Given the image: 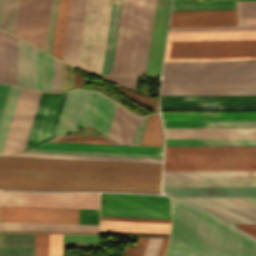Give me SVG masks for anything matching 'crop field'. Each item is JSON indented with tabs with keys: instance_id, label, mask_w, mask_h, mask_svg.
Wrapping results in <instances>:
<instances>
[{
	"instance_id": "733c2abd",
	"label": "crop field",
	"mask_w": 256,
	"mask_h": 256,
	"mask_svg": "<svg viewBox=\"0 0 256 256\" xmlns=\"http://www.w3.org/2000/svg\"><path fill=\"white\" fill-rule=\"evenodd\" d=\"M86 0H72L63 60L76 66Z\"/></svg>"
},
{
	"instance_id": "028f5c9d",
	"label": "crop field",
	"mask_w": 256,
	"mask_h": 256,
	"mask_svg": "<svg viewBox=\"0 0 256 256\" xmlns=\"http://www.w3.org/2000/svg\"><path fill=\"white\" fill-rule=\"evenodd\" d=\"M236 19L235 10L172 11L171 20Z\"/></svg>"
},
{
	"instance_id": "7312dd0a",
	"label": "crop field",
	"mask_w": 256,
	"mask_h": 256,
	"mask_svg": "<svg viewBox=\"0 0 256 256\" xmlns=\"http://www.w3.org/2000/svg\"><path fill=\"white\" fill-rule=\"evenodd\" d=\"M3 4H4V0H0V24H1V17H2V11H3Z\"/></svg>"
},
{
	"instance_id": "00972430",
	"label": "crop field",
	"mask_w": 256,
	"mask_h": 256,
	"mask_svg": "<svg viewBox=\"0 0 256 256\" xmlns=\"http://www.w3.org/2000/svg\"><path fill=\"white\" fill-rule=\"evenodd\" d=\"M34 234L0 233V256H33Z\"/></svg>"
},
{
	"instance_id": "447ae74e",
	"label": "crop field",
	"mask_w": 256,
	"mask_h": 256,
	"mask_svg": "<svg viewBox=\"0 0 256 256\" xmlns=\"http://www.w3.org/2000/svg\"><path fill=\"white\" fill-rule=\"evenodd\" d=\"M199 30H256V26L170 28L169 31H199Z\"/></svg>"
},
{
	"instance_id": "5a996713",
	"label": "crop field",
	"mask_w": 256,
	"mask_h": 256,
	"mask_svg": "<svg viewBox=\"0 0 256 256\" xmlns=\"http://www.w3.org/2000/svg\"><path fill=\"white\" fill-rule=\"evenodd\" d=\"M40 93L21 89L2 155H13L25 149Z\"/></svg>"
},
{
	"instance_id": "d8731c3e",
	"label": "crop field",
	"mask_w": 256,
	"mask_h": 256,
	"mask_svg": "<svg viewBox=\"0 0 256 256\" xmlns=\"http://www.w3.org/2000/svg\"><path fill=\"white\" fill-rule=\"evenodd\" d=\"M52 0H20L15 35L44 50Z\"/></svg>"
},
{
	"instance_id": "b54c1fbb",
	"label": "crop field",
	"mask_w": 256,
	"mask_h": 256,
	"mask_svg": "<svg viewBox=\"0 0 256 256\" xmlns=\"http://www.w3.org/2000/svg\"><path fill=\"white\" fill-rule=\"evenodd\" d=\"M165 145H256V139H165Z\"/></svg>"
},
{
	"instance_id": "0bd39190",
	"label": "crop field",
	"mask_w": 256,
	"mask_h": 256,
	"mask_svg": "<svg viewBox=\"0 0 256 256\" xmlns=\"http://www.w3.org/2000/svg\"><path fill=\"white\" fill-rule=\"evenodd\" d=\"M53 57L38 50L37 89L52 92Z\"/></svg>"
},
{
	"instance_id": "db79e9e6",
	"label": "crop field",
	"mask_w": 256,
	"mask_h": 256,
	"mask_svg": "<svg viewBox=\"0 0 256 256\" xmlns=\"http://www.w3.org/2000/svg\"><path fill=\"white\" fill-rule=\"evenodd\" d=\"M49 256H62V234H49Z\"/></svg>"
},
{
	"instance_id": "e52e79f7",
	"label": "crop field",
	"mask_w": 256,
	"mask_h": 256,
	"mask_svg": "<svg viewBox=\"0 0 256 256\" xmlns=\"http://www.w3.org/2000/svg\"><path fill=\"white\" fill-rule=\"evenodd\" d=\"M0 206L99 209V193L0 191Z\"/></svg>"
},
{
	"instance_id": "25e5ab78",
	"label": "crop field",
	"mask_w": 256,
	"mask_h": 256,
	"mask_svg": "<svg viewBox=\"0 0 256 256\" xmlns=\"http://www.w3.org/2000/svg\"><path fill=\"white\" fill-rule=\"evenodd\" d=\"M24 152L162 159V155L29 149Z\"/></svg>"
},
{
	"instance_id": "9d1cf04e",
	"label": "crop field",
	"mask_w": 256,
	"mask_h": 256,
	"mask_svg": "<svg viewBox=\"0 0 256 256\" xmlns=\"http://www.w3.org/2000/svg\"><path fill=\"white\" fill-rule=\"evenodd\" d=\"M236 25V20L171 21L170 27Z\"/></svg>"
},
{
	"instance_id": "7b73153f",
	"label": "crop field",
	"mask_w": 256,
	"mask_h": 256,
	"mask_svg": "<svg viewBox=\"0 0 256 256\" xmlns=\"http://www.w3.org/2000/svg\"><path fill=\"white\" fill-rule=\"evenodd\" d=\"M148 239L140 237L137 246L126 248L123 256H143Z\"/></svg>"
},
{
	"instance_id": "425ffa30",
	"label": "crop field",
	"mask_w": 256,
	"mask_h": 256,
	"mask_svg": "<svg viewBox=\"0 0 256 256\" xmlns=\"http://www.w3.org/2000/svg\"><path fill=\"white\" fill-rule=\"evenodd\" d=\"M0 228L98 231V225L0 223Z\"/></svg>"
},
{
	"instance_id": "1f2cbd36",
	"label": "crop field",
	"mask_w": 256,
	"mask_h": 256,
	"mask_svg": "<svg viewBox=\"0 0 256 256\" xmlns=\"http://www.w3.org/2000/svg\"><path fill=\"white\" fill-rule=\"evenodd\" d=\"M18 5L19 0H5L1 27L12 33L15 31Z\"/></svg>"
},
{
	"instance_id": "ae633e8c",
	"label": "crop field",
	"mask_w": 256,
	"mask_h": 256,
	"mask_svg": "<svg viewBox=\"0 0 256 256\" xmlns=\"http://www.w3.org/2000/svg\"><path fill=\"white\" fill-rule=\"evenodd\" d=\"M147 117L148 116H145V117H141L139 119V122H138V125H137V128H136V132H135V135H134V138H133V141H132L131 145H139L140 144V140H141V137H142V134H143V130H144V127H145V124H146Z\"/></svg>"
},
{
	"instance_id": "c3a83c6f",
	"label": "crop field",
	"mask_w": 256,
	"mask_h": 256,
	"mask_svg": "<svg viewBox=\"0 0 256 256\" xmlns=\"http://www.w3.org/2000/svg\"><path fill=\"white\" fill-rule=\"evenodd\" d=\"M167 242H168V239H163L162 240V243H161V246H160V249L158 251L157 256H163L166 245H167Z\"/></svg>"
},
{
	"instance_id": "d14b1444",
	"label": "crop field",
	"mask_w": 256,
	"mask_h": 256,
	"mask_svg": "<svg viewBox=\"0 0 256 256\" xmlns=\"http://www.w3.org/2000/svg\"><path fill=\"white\" fill-rule=\"evenodd\" d=\"M162 239L150 238L144 256H156Z\"/></svg>"
},
{
	"instance_id": "ade564c9",
	"label": "crop field",
	"mask_w": 256,
	"mask_h": 256,
	"mask_svg": "<svg viewBox=\"0 0 256 256\" xmlns=\"http://www.w3.org/2000/svg\"><path fill=\"white\" fill-rule=\"evenodd\" d=\"M3 43H4V30L0 29V82H2Z\"/></svg>"
},
{
	"instance_id": "fb207236",
	"label": "crop field",
	"mask_w": 256,
	"mask_h": 256,
	"mask_svg": "<svg viewBox=\"0 0 256 256\" xmlns=\"http://www.w3.org/2000/svg\"><path fill=\"white\" fill-rule=\"evenodd\" d=\"M0 230H15V229H0ZM15 231H48V230H15ZM49 232H82V231H49ZM82 233H98V232H82Z\"/></svg>"
},
{
	"instance_id": "4a817a6b",
	"label": "crop field",
	"mask_w": 256,
	"mask_h": 256,
	"mask_svg": "<svg viewBox=\"0 0 256 256\" xmlns=\"http://www.w3.org/2000/svg\"><path fill=\"white\" fill-rule=\"evenodd\" d=\"M160 105H256V96H161Z\"/></svg>"
},
{
	"instance_id": "4177f3b9",
	"label": "crop field",
	"mask_w": 256,
	"mask_h": 256,
	"mask_svg": "<svg viewBox=\"0 0 256 256\" xmlns=\"http://www.w3.org/2000/svg\"><path fill=\"white\" fill-rule=\"evenodd\" d=\"M163 186H256V178H163Z\"/></svg>"
},
{
	"instance_id": "e1f06a70",
	"label": "crop field",
	"mask_w": 256,
	"mask_h": 256,
	"mask_svg": "<svg viewBox=\"0 0 256 256\" xmlns=\"http://www.w3.org/2000/svg\"><path fill=\"white\" fill-rule=\"evenodd\" d=\"M20 89L21 88L19 87H10V91L0 121V155L2 154V150L5 144V140L10 127V123L15 110Z\"/></svg>"
},
{
	"instance_id": "750c4746",
	"label": "crop field",
	"mask_w": 256,
	"mask_h": 256,
	"mask_svg": "<svg viewBox=\"0 0 256 256\" xmlns=\"http://www.w3.org/2000/svg\"><path fill=\"white\" fill-rule=\"evenodd\" d=\"M71 0H59L51 54L62 59Z\"/></svg>"
},
{
	"instance_id": "28ad6ade",
	"label": "crop field",
	"mask_w": 256,
	"mask_h": 256,
	"mask_svg": "<svg viewBox=\"0 0 256 256\" xmlns=\"http://www.w3.org/2000/svg\"><path fill=\"white\" fill-rule=\"evenodd\" d=\"M116 105L99 93L86 91L75 129L93 126L108 135Z\"/></svg>"
},
{
	"instance_id": "b80d0937",
	"label": "crop field",
	"mask_w": 256,
	"mask_h": 256,
	"mask_svg": "<svg viewBox=\"0 0 256 256\" xmlns=\"http://www.w3.org/2000/svg\"><path fill=\"white\" fill-rule=\"evenodd\" d=\"M161 95H256V89H162Z\"/></svg>"
},
{
	"instance_id": "214f88e0",
	"label": "crop field",
	"mask_w": 256,
	"mask_h": 256,
	"mask_svg": "<svg viewBox=\"0 0 256 256\" xmlns=\"http://www.w3.org/2000/svg\"><path fill=\"white\" fill-rule=\"evenodd\" d=\"M175 196H256V187H163Z\"/></svg>"
},
{
	"instance_id": "730fd06b",
	"label": "crop field",
	"mask_w": 256,
	"mask_h": 256,
	"mask_svg": "<svg viewBox=\"0 0 256 256\" xmlns=\"http://www.w3.org/2000/svg\"><path fill=\"white\" fill-rule=\"evenodd\" d=\"M84 92L73 90L67 93L55 137L74 129Z\"/></svg>"
},
{
	"instance_id": "1d79db26",
	"label": "crop field",
	"mask_w": 256,
	"mask_h": 256,
	"mask_svg": "<svg viewBox=\"0 0 256 256\" xmlns=\"http://www.w3.org/2000/svg\"><path fill=\"white\" fill-rule=\"evenodd\" d=\"M50 141L118 145L107 137L60 136Z\"/></svg>"
},
{
	"instance_id": "5d738f31",
	"label": "crop field",
	"mask_w": 256,
	"mask_h": 256,
	"mask_svg": "<svg viewBox=\"0 0 256 256\" xmlns=\"http://www.w3.org/2000/svg\"><path fill=\"white\" fill-rule=\"evenodd\" d=\"M16 156L162 164V160L19 153Z\"/></svg>"
},
{
	"instance_id": "d32e631a",
	"label": "crop field",
	"mask_w": 256,
	"mask_h": 256,
	"mask_svg": "<svg viewBox=\"0 0 256 256\" xmlns=\"http://www.w3.org/2000/svg\"><path fill=\"white\" fill-rule=\"evenodd\" d=\"M235 1L256 0H173L172 10L235 9Z\"/></svg>"
},
{
	"instance_id": "c39391a2",
	"label": "crop field",
	"mask_w": 256,
	"mask_h": 256,
	"mask_svg": "<svg viewBox=\"0 0 256 256\" xmlns=\"http://www.w3.org/2000/svg\"><path fill=\"white\" fill-rule=\"evenodd\" d=\"M9 87L10 86L8 85L0 84V117L8 94Z\"/></svg>"
},
{
	"instance_id": "0765c3eb",
	"label": "crop field",
	"mask_w": 256,
	"mask_h": 256,
	"mask_svg": "<svg viewBox=\"0 0 256 256\" xmlns=\"http://www.w3.org/2000/svg\"><path fill=\"white\" fill-rule=\"evenodd\" d=\"M34 256H48V234H35Z\"/></svg>"
},
{
	"instance_id": "d23c7cc5",
	"label": "crop field",
	"mask_w": 256,
	"mask_h": 256,
	"mask_svg": "<svg viewBox=\"0 0 256 256\" xmlns=\"http://www.w3.org/2000/svg\"><path fill=\"white\" fill-rule=\"evenodd\" d=\"M140 145L163 146V132L159 114L148 117Z\"/></svg>"
},
{
	"instance_id": "1d83c4d3",
	"label": "crop field",
	"mask_w": 256,
	"mask_h": 256,
	"mask_svg": "<svg viewBox=\"0 0 256 256\" xmlns=\"http://www.w3.org/2000/svg\"><path fill=\"white\" fill-rule=\"evenodd\" d=\"M100 230L169 233L170 224L100 221Z\"/></svg>"
},
{
	"instance_id": "5866460e",
	"label": "crop field",
	"mask_w": 256,
	"mask_h": 256,
	"mask_svg": "<svg viewBox=\"0 0 256 256\" xmlns=\"http://www.w3.org/2000/svg\"><path fill=\"white\" fill-rule=\"evenodd\" d=\"M120 6H121V0H113L102 73H110V70H111L115 38H116L118 19H119V13H120Z\"/></svg>"
},
{
	"instance_id": "8a807250",
	"label": "crop field",
	"mask_w": 256,
	"mask_h": 256,
	"mask_svg": "<svg viewBox=\"0 0 256 256\" xmlns=\"http://www.w3.org/2000/svg\"><path fill=\"white\" fill-rule=\"evenodd\" d=\"M162 165L0 157V188L160 193Z\"/></svg>"
},
{
	"instance_id": "22f410ed",
	"label": "crop field",
	"mask_w": 256,
	"mask_h": 256,
	"mask_svg": "<svg viewBox=\"0 0 256 256\" xmlns=\"http://www.w3.org/2000/svg\"><path fill=\"white\" fill-rule=\"evenodd\" d=\"M171 0H156L145 75L160 76Z\"/></svg>"
},
{
	"instance_id": "ae1a2a85",
	"label": "crop field",
	"mask_w": 256,
	"mask_h": 256,
	"mask_svg": "<svg viewBox=\"0 0 256 256\" xmlns=\"http://www.w3.org/2000/svg\"><path fill=\"white\" fill-rule=\"evenodd\" d=\"M204 208H256V197H181Z\"/></svg>"
},
{
	"instance_id": "0fb4a251",
	"label": "crop field",
	"mask_w": 256,
	"mask_h": 256,
	"mask_svg": "<svg viewBox=\"0 0 256 256\" xmlns=\"http://www.w3.org/2000/svg\"><path fill=\"white\" fill-rule=\"evenodd\" d=\"M161 110H256V106H160Z\"/></svg>"
},
{
	"instance_id": "34b2d1b8",
	"label": "crop field",
	"mask_w": 256,
	"mask_h": 256,
	"mask_svg": "<svg viewBox=\"0 0 256 256\" xmlns=\"http://www.w3.org/2000/svg\"><path fill=\"white\" fill-rule=\"evenodd\" d=\"M164 170H256V146H165Z\"/></svg>"
},
{
	"instance_id": "120bbe31",
	"label": "crop field",
	"mask_w": 256,
	"mask_h": 256,
	"mask_svg": "<svg viewBox=\"0 0 256 256\" xmlns=\"http://www.w3.org/2000/svg\"><path fill=\"white\" fill-rule=\"evenodd\" d=\"M17 37L5 32L3 82L16 85Z\"/></svg>"
},
{
	"instance_id": "c21b1889",
	"label": "crop field",
	"mask_w": 256,
	"mask_h": 256,
	"mask_svg": "<svg viewBox=\"0 0 256 256\" xmlns=\"http://www.w3.org/2000/svg\"><path fill=\"white\" fill-rule=\"evenodd\" d=\"M163 177H256V171H164Z\"/></svg>"
},
{
	"instance_id": "bc2a9ffb",
	"label": "crop field",
	"mask_w": 256,
	"mask_h": 256,
	"mask_svg": "<svg viewBox=\"0 0 256 256\" xmlns=\"http://www.w3.org/2000/svg\"><path fill=\"white\" fill-rule=\"evenodd\" d=\"M37 48L18 39L17 85L36 89Z\"/></svg>"
},
{
	"instance_id": "dd49c442",
	"label": "crop field",
	"mask_w": 256,
	"mask_h": 256,
	"mask_svg": "<svg viewBox=\"0 0 256 256\" xmlns=\"http://www.w3.org/2000/svg\"><path fill=\"white\" fill-rule=\"evenodd\" d=\"M145 0H122L111 73L134 75Z\"/></svg>"
},
{
	"instance_id": "d1516ede",
	"label": "crop field",
	"mask_w": 256,
	"mask_h": 256,
	"mask_svg": "<svg viewBox=\"0 0 256 256\" xmlns=\"http://www.w3.org/2000/svg\"><path fill=\"white\" fill-rule=\"evenodd\" d=\"M79 209L0 207V222L78 224Z\"/></svg>"
},
{
	"instance_id": "92a150f3",
	"label": "crop field",
	"mask_w": 256,
	"mask_h": 256,
	"mask_svg": "<svg viewBox=\"0 0 256 256\" xmlns=\"http://www.w3.org/2000/svg\"><path fill=\"white\" fill-rule=\"evenodd\" d=\"M34 148L86 150V151H108V152H130V153H152V154H162V151H163V148H153V147L111 146V145L74 144V143H56V142H45V143L38 145Z\"/></svg>"
},
{
	"instance_id": "e1d0b9f6",
	"label": "crop field",
	"mask_w": 256,
	"mask_h": 256,
	"mask_svg": "<svg viewBox=\"0 0 256 256\" xmlns=\"http://www.w3.org/2000/svg\"><path fill=\"white\" fill-rule=\"evenodd\" d=\"M63 241L98 242V235L63 234Z\"/></svg>"
},
{
	"instance_id": "73cf0c24",
	"label": "crop field",
	"mask_w": 256,
	"mask_h": 256,
	"mask_svg": "<svg viewBox=\"0 0 256 256\" xmlns=\"http://www.w3.org/2000/svg\"><path fill=\"white\" fill-rule=\"evenodd\" d=\"M162 88H256V83H162Z\"/></svg>"
},
{
	"instance_id": "c035e120",
	"label": "crop field",
	"mask_w": 256,
	"mask_h": 256,
	"mask_svg": "<svg viewBox=\"0 0 256 256\" xmlns=\"http://www.w3.org/2000/svg\"><path fill=\"white\" fill-rule=\"evenodd\" d=\"M231 224H256V209H207Z\"/></svg>"
},
{
	"instance_id": "eef30255",
	"label": "crop field",
	"mask_w": 256,
	"mask_h": 256,
	"mask_svg": "<svg viewBox=\"0 0 256 256\" xmlns=\"http://www.w3.org/2000/svg\"><path fill=\"white\" fill-rule=\"evenodd\" d=\"M256 39V31L169 32L167 40Z\"/></svg>"
},
{
	"instance_id": "d3111659",
	"label": "crop field",
	"mask_w": 256,
	"mask_h": 256,
	"mask_svg": "<svg viewBox=\"0 0 256 256\" xmlns=\"http://www.w3.org/2000/svg\"><path fill=\"white\" fill-rule=\"evenodd\" d=\"M155 0H146L135 75H144Z\"/></svg>"
},
{
	"instance_id": "89e229c0",
	"label": "crop field",
	"mask_w": 256,
	"mask_h": 256,
	"mask_svg": "<svg viewBox=\"0 0 256 256\" xmlns=\"http://www.w3.org/2000/svg\"><path fill=\"white\" fill-rule=\"evenodd\" d=\"M237 25H256V2H236Z\"/></svg>"
},
{
	"instance_id": "dafd665d",
	"label": "crop field",
	"mask_w": 256,
	"mask_h": 256,
	"mask_svg": "<svg viewBox=\"0 0 256 256\" xmlns=\"http://www.w3.org/2000/svg\"><path fill=\"white\" fill-rule=\"evenodd\" d=\"M138 119V117L117 105L108 137L120 144L130 145Z\"/></svg>"
},
{
	"instance_id": "f4fd0767",
	"label": "crop field",
	"mask_w": 256,
	"mask_h": 256,
	"mask_svg": "<svg viewBox=\"0 0 256 256\" xmlns=\"http://www.w3.org/2000/svg\"><path fill=\"white\" fill-rule=\"evenodd\" d=\"M256 59V40L167 41L165 60Z\"/></svg>"
},
{
	"instance_id": "3316defc",
	"label": "crop field",
	"mask_w": 256,
	"mask_h": 256,
	"mask_svg": "<svg viewBox=\"0 0 256 256\" xmlns=\"http://www.w3.org/2000/svg\"><path fill=\"white\" fill-rule=\"evenodd\" d=\"M66 93H41L26 149L54 137Z\"/></svg>"
},
{
	"instance_id": "d9b57169",
	"label": "crop field",
	"mask_w": 256,
	"mask_h": 256,
	"mask_svg": "<svg viewBox=\"0 0 256 256\" xmlns=\"http://www.w3.org/2000/svg\"><path fill=\"white\" fill-rule=\"evenodd\" d=\"M165 138H256V128H164Z\"/></svg>"
},
{
	"instance_id": "412701ff",
	"label": "crop field",
	"mask_w": 256,
	"mask_h": 256,
	"mask_svg": "<svg viewBox=\"0 0 256 256\" xmlns=\"http://www.w3.org/2000/svg\"><path fill=\"white\" fill-rule=\"evenodd\" d=\"M112 0H87L77 67L101 73Z\"/></svg>"
},
{
	"instance_id": "03da06ac",
	"label": "crop field",
	"mask_w": 256,
	"mask_h": 256,
	"mask_svg": "<svg viewBox=\"0 0 256 256\" xmlns=\"http://www.w3.org/2000/svg\"><path fill=\"white\" fill-rule=\"evenodd\" d=\"M164 127H256V121H163Z\"/></svg>"
},
{
	"instance_id": "a9b5d70f",
	"label": "crop field",
	"mask_w": 256,
	"mask_h": 256,
	"mask_svg": "<svg viewBox=\"0 0 256 256\" xmlns=\"http://www.w3.org/2000/svg\"><path fill=\"white\" fill-rule=\"evenodd\" d=\"M163 120H256V112H161Z\"/></svg>"
},
{
	"instance_id": "0f1d7ab4",
	"label": "crop field",
	"mask_w": 256,
	"mask_h": 256,
	"mask_svg": "<svg viewBox=\"0 0 256 256\" xmlns=\"http://www.w3.org/2000/svg\"><path fill=\"white\" fill-rule=\"evenodd\" d=\"M100 220L135 221V222H159V223H170V221H171V220H163V219H145V218L109 217V216H100Z\"/></svg>"
},
{
	"instance_id": "ac0d7876",
	"label": "crop field",
	"mask_w": 256,
	"mask_h": 256,
	"mask_svg": "<svg viewBox=\"0 0 256 256\" xmlns=\"http://www.w3.org/2000/svg\"><path fill=\"white\" fill-rule=\"evenodd\" d=\"M172 234L166 256H256V240L206 212L171 199Z\"/></svg>"
},
{
	"instance_id": "cbeb9de0",
	"label": "crop field",
	"mask_w": 256,
	"mask_h": 256,
	"mask_svg": "<svg viewBox=\"0 0 256 256\" xmlns=\"http://www.w3.org/2000/svg\"><path fill=\"white\" fill-rule=\"evenodd\" d=\"M162 82H256V70H164Z\"/></svg>"
},
{
	"instance_id": "dbb93151",
	"label": "crop field",
	"mask_w": 256,
	"mask_h": 256,
	"mask_svg": "<svg viewBox=\"0 0 256 256\" xmlns=\"http://www.w3.org/2000/svg\"><path fill=\"white\" fill-rule=\"evenodd\" d=\"M100 215L170 218V212L101 209Z\"/></svg>"
},
{
	"instance_id": "5142ce71",
	"label": "crop field",
	"mask_w": 256,
	"mask_h": 256,
	"mask_svg": "<svg viewBox=\"0 0 256 256\" xmlns=\"http://www.w3.org/2000/svg\"><path fill=\"white\" fill-rule=\"evenodd\" d=\"M101 208L170 211L169 198L101 193Z\"/></svg>"
},
{
	"instance_id": "bd1437ed",
	"label": "crop field",
	"mask_w": 256,
	"mask_h": 256,
	"mask_svg": "<svg viewBox=\"0 0 256 256\" xmlns=\"http://www.w3.org/2000/svg\"><path fill=\"white\" fill-rule=\"evenodd\" d=\"M164 69H256V62H164Z\"/></svg>"
},
{
	"instance_id": "c5b07064",
	"label": "crop field",
	"mask_w": 256,
	"mask_h": 256,
	"mask_svg": "<svg viewBox=\"0 0 256 256\" xmlns=\"http://www.w3.org/2000/svg\"><path fill=\"white\" fill-rule=\"evenodd\" d=\"M236 227L256 236V225H237Z\"/></svg>"
},
{
	"instance_id": "78b8030e",
	"label": "crop field",
	"mask_w": 256,
	"mask_h": 256,
	"mask_svg": "<svg viewBox=\"0 0 256 256\" xmlns=\"http://www.w3.org/2000/svg\"><path fill=\"white\" fill-rule=\"evenodd\" d=\"M62 61L54 58L53 92H61Z\"/></svg>"
}]
</instances>
